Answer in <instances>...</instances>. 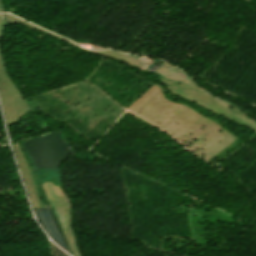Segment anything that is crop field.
<instances>
[{
    "instance_id": "8a807250",
    "label": "crop field",
    "mask_w": 256,
    "mask_h": 256,
    "mask_svg": "<svg viewBox=\"0 0 256 256\" xmlns=\"http://www.w3.org/2000/svg\"><path fill=\"white\" fill-rule=\"evenodd\" d=\"M34 211L40 225L43 227L46 233L53 240H55L57 243H59L63 248H65L68 251V248L65 244V241L57 225V222L55 220V217L52 213L51 208L48 207V208L36 209Z\"/></svg>"
},
{
    "instance_id": "ac0d7876",
    "label": "crop field",
    "mask_w": 256,
    "mask_h": 256,
    "mask_svg": "<svg viewBox=\"0 0 256 256\" xmlns=\"http://www.w3.org/2000/svg\"><path fill=\"white\" fill-rule=\"evenodd\" d=\"M51 247H52L53 256H67L66 254L61 252L59 249H57L52 243H51Z\"/></svg>"
}]
</instances>
